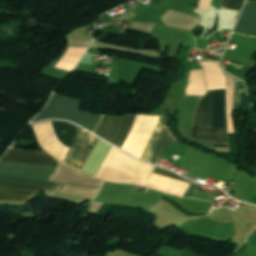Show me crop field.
<instances>
[{
	"label": "crop field",
	"mask_w": 256,
	"mask_h": 256,
	"mask_svg": "<svg viewBox=\"0 0 256 256\" xmlns=\"http://www.w3.org/2000/svg\"><path fill=\"white\" fill-rule=\"evenodd\" d=\"M79 106V100L53 94L47 107L35 117L33 122L42 119L59 118L76 122L93 132L101 115L81 111Z\"/></svg>",
	"instance_id": "8a807250"
},
{
	"label": "crop field",
	"mask_w": 256,
	"mask_h": 256,
	"mask_svg": "<svg viewBox=\"0 0 256 256\" xmlns=\"http://www.w3.org/2000/svg\"><path fill=\"white\" fill-rule=\"evenodd\" d=\"M134 115H128L126 117H122V118H108V117H103L95 134L101 136L102 138L112 142L113 144L122 147L123 142L125 140V137L127 135V132L129 130V127L131 125L132 119H133ZM164 117H159L158 121L156 123V126L140 156V159H143L145 161H149V158L151 157L165 127L161 126V123L163 121ZM161 126V128H160ZM160 128V130H159ZM159 130L148 154L147 157H145L157 131Z\"/></svg>",
	"instance_id": "ac0d7876"
},
{
	"label": "crop field",
	"mask_w": 256,
	"mask_h": 256,
	"mask_svg": "<svg viewBox=\"0 0 256 256\" xmlns=\"http://www.w3.org/2000/svg\"><path fill=\"white\" fill-rule=\"evenodd\" d=\"M212 90L199 99L195 110L192 139L214 141L213 145H228L227 129H211Z\"/></svg>",
	"instance_id": "34b2d1b8"
},
{
	"label": "crop field",
	"mask_w": 256,
	"mask_h": 256,
	"mask_svg": "<svg viewBox=\"0 0 256 256\" xmlns=\"http://www.w3.org/2000/svg\"><path fill=\"white\" fill-rule=\"evenodd\" d=\"M0 183L22 185L38 188L51 189L56 186V182H46L38 180H30L23 178H15L8 176H0ZM0 184V200L27 201L38 191H48L46 189L21 187L13 185Z\"/></svg>",
	"instance_id": "412701ff"
},
{
	"label": "crop field",
	"mask_w": 256,
	"mask_h": 256,
	"mask_svg": "<svg viewBox=\"0 0 256 256\" xmlns=\"http://www.w3.org/2000/svg\"><path fill=\"white\" fill-rule=\"evenodd\" d=\"M98 139L82 129L64 165L81 172Z\"/></svg>",
	"instance_id": "f4fd0767"
},
{
	"label": "crop field",
	"mask_w": 256,
	"mask_h": 256,
	"mask_svg": "<svg viewBox=\"0 0 256 256\" xmlns=\"http://www.w3.org/2000/svg\"><path fill=\"white\" fill-rule=\"evenodd\" d=\"M55 168L0 161V175L50 180Z\"/></svg>",
	"instance_id": "dd49c442"
},
{
	"label": "crop field",
	"mask_w": 256,
	"mask_h": 256,
	"mask_svg": "<svg viewBox=\"0 0 256 256\" xmlns=\"http://www.w3.org/2000/svg\"><path fill=\"white\" fill-rule=\"evenodd\" d=\"M0 160L52 167H56L58 163V161L45 152L19 151L11 148Z\"/></svg>",
	"instance_id": "e52e79f7"
},
{
	"label": "crop field",
	"mask_w": 256,
	"mask_h": 256,
	"mask_svg": "<svg viewBox=\"0 0 256 256\" xmlns=\"http://www.w3.org/2000/svg\"><path fill=\"white\" fill-rule=\"evenodd\" d=\"M51 123L58 140L68 149H71L82 128L64 121H51Z\"/></svg>",
	"instance_id": "d8731c3e"
},
{
	"label": "crop field",
	"mask_w": 256,
	"mask_h": 256,
	"mask_svg": "<svg viewBox=\"0 0 256 256\" xmlns=\"http://www.w3.org/2000/svg\"><path fill=\"white\" fill-rule=\"evenodd\" d=\"M233 32L256 36V3H250L243 8Z\"/></svg>",
	"instance_id": "5a996713"
},
{
	"label": "crop field",
	"mask_w": 256,
	"mask_h": 256,
	"mask_svg": "<svg viewBox=\"0 0 256 256\" xmlns=\"http://www.w3.org/2000/svg\"><path fill=\"white\" fill-rule=\"evenodd\" d=\"M212 127H226L225 89L213 90Z\"/></svg>",
	"instance_id": "3316defc"
},
{
	"label": "crop field",
	"mask_w": 256,
	"mask_h": 256,
	"mask_svg": "<svg viewBox=\"0 0 256 256\" xmlns=\"http://www.w3.org/2000/svg\"><path fill=\"white\" fill-rule=\"evenodd\" d=\"M176 139L174 136L170 133V131L166 128L150 162L153 163L156 155L163 157V155L168 150L169 146L175 141Z\"/></svg>",
	"instance_id": "28ad6ade"
},
{
	"label": "crop field",
	"mask_w": 256,
	"mask_h": 256,
	"mask_svg": "<svg viewBox=\"0 0 256 256\" xmlns=\"http://www.w3.org/2000/svg\"><path fill=\"white\" fill-rule=\"evenodd\" d=\"M233 256H256V246L245 243Z\"/></svg>",
	"instance_id": "d1516ede"
},
{
	"label": "crop field",
	"mask_w": 256,
	"mask_h": 256,
	"mask_svg": "<svg viewBox=\"0 0 256 256\" xmlns=\"http://www.w3.org/2000/svg\"><path fill=\"white\" fill-rule=\"evenodd\" d=\"M243 1L244 0H221V8L239 11Z\"/></svg>",
	"instance_id": "22f410ed"
},
{
	"label": "crop field",
	"mask_w": 256,
	"mask_h": 256,
	"mask_svg": "<svg viewBox=\"0 0 256 256\" xmlns=\"http://www.w3.org/2000/svg\"><path fill=\"white\" fill-rule=\"evenodd\" d=\"M153 172L157 173V174H160V175H164V176L173 178V179H176V180H179V181H183V182L187 181V180L185 181L182 177L178 176L177 174H175L173 172L166 171V170H163V169H160V168H157V167H155ZM186 183H188V182H186Z\"/></svg>",
	"instance_id": "cbeb9de0"
},
{
	"label": "crop field",
	"mask_w": 256,
	"mask_h": 256,
	"mask_svg": "<svg viewBox=\"0 0 256 256\" xmlns=\"http://www.w3.org/2000/svg\"><path fill=\"white\" fill-rule=\"evenodd\" d=\"M251 235H255V236H256V228L253 230V232L251 233Z\"/></svg>",
	"instance_id": "5142ce71"
}]
</instances>
